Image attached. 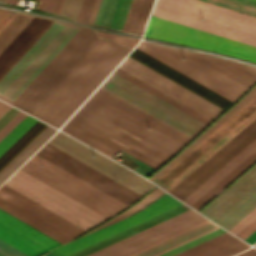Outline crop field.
<instances>
[{"mask_svg": "<svg viewBox=\"0 0 256 256\" xmlns=\"http://www.w3.org/2000/svg\"><path fill=\"white\" fill-rule=\"evenodd\" d=\"M96 32L105 38L111 39L113 41L131 46V47H134L136 43L139 41V39H135L132 37L119 36L111 33H104V32H98V31Z\"/></svg>", "mask_w": 256, "mask_h": 256, "instance_id": "crop-field-39", "label": "crop field"}, {"mask_svg": "<svg viewBox=\"0 0 256 256\" xmlns=\"http://www.w3.org/2000/svg\"><path fill=\"white\" fill-rule=\"evenodd\" d=\"M231 10L256 16V2L250 0H202Z\"/></svg>", "mask_w": 256, "mask_h": 256, "instance_id": "crop-field-33", "label": "crop field"}, {"mask_svg": "<svg viewBox=\"0 0 256 256\" xmlns=\"http://www.w3.org/2000/svg\"><path fill=\"white\" fill-rule=\"evenodd\" d=\"M113 73H115V74H117V75H119V76H121V77H123V78H125V79H127L129 81H131L132 83H134V84L138 85L139 87L147 90L148 92L154 94L155 96H157V97L161 98L162 100L170 103L171 105L177 107L178 109L184 111L185 113L191 115L192 117L200 120L201 122H203V123H205L207 125L212 121V120L204 117L203 115L197 113L196 111L188 108L187 106H185V105H183L181 103H178L173 98H171V97H169V96H167V95H165V94L155 90L154 88L148 86L147 84L141 82L140 80L132 77L131 75L125 73L124 71H122V70H120L118 68Z\"/></svg>", "mask_w": 256, "mask_h": 256, "instance_id": "crop-field-29", "label": "crop field"}, {"mask_svg": "<svg viewBox=\"0 0 256 256\" xmlns=\"http://www.w3.org/2000/svg\"><path fill=\"white\" fill-rule=\"evenodd\" d=\"M254 1H256V0H254Z\"/></svg>", "mask_w": 256, "mask_h": 256, "instance_id": "crop-field-54", "label": "crop field"}, {"mask_svg": "<svg viewBox=\"0 0 256 256\" xmlns=\"http://www.w3.org/2000/svg\"><path fill=\"white\" fill-rule=\"evenodd\" d=\"M11 106L0 101V116H2Z\"/></svg>", "mask_w": 256, "mask_h": 256, "instance_id": "crop-field-47", "label": "crop field"}, {"mask_svg": "<svg viewBox=\"0 0 256 256\" xmlns=\"http://www.w3.org/2000/svg\"><path fill=\"white\" fill-rule=\"evenodd\" d=\"M105 2H106V0H102V3H101V0H95L92 11H91V14H90L89 19H88V22L90 24L94 23L99 5L101 3L98 14H97V17H96V20H95V23H94V24H98L101 13H102L104 5H105ZM117 2H118V0H107L104 11L102 13V16H101V19H100V22H99L100 25H104V26H108V27L110 26V23H111V20H112Z\"/></svg>", "mask_w": 256, "mask_h": 256, "instance_id": "crop-field-31", "label": "crop field"}, {"mask_svg": "<svg viewBox=\"0 0 256 256\" xmlns=\"http://www.w3.org/2000/svg\"><path fill=\"white\" fill-rule=\"evenodd\" d=\"M187 210H189V208L186 207L183 204V205H181V206H179V207H177L175 209H172V210H170V211H168L166 213H163V214H161L159 216H156V217H154V218H152L150 220H147V221H145V222H143L141 224H138V225H136V226H134L132 228H129V229H127V230H125L123 232H120V233H118L116 235H113V236H111V237H109L107 239H104V240H102V241H100L98 243H95V244H93V245H91L89 247H86V248H84L82 250H79V251H77V252H75L73 254H70L68 256H87V255H89L91 253H94V252H96V251H98L100 249H103V248H105V247H107V246H109L111 244H114V243H116V242H118L120 240H123V239H125V238H127V237H129L131 235H134V234H136V233H138L140 231H143V230H145V229H147L149 227H152V226H154V225H156V224H158L160 222H163V221H165V220H167L169 218H172V217H174V216H176V215H178L180 213H183V212H185Z\"/></svg>", "mask_w": 256, "mask_h": 256, "instance_id": "crop-field-26", "label": "crop field"}, {"mask_svg": "<svg viewBox=\"0 0 256 256\" xmlns=\"http://www.w3.org/2000/svg\"><path fill=\"white\" fill-rule=\"evenodd\" d=\"M136 48L233 102L256 81V68L244 64L179 49L248 88L175 48L144 41Z\"/></svg>", "mask_w": 256, "mask_h": 256, "instance_id": "crop-field-3", "label": "crop field"}, {"mask_svg": "<svg viewBox=\"0 0 256 256\" xmlns=\"http://www.w3.org/2000/svg\"><path fill=\"white\" fill-rule=\"evenodd\" d=\"M255 230H256V219L252 223H250L246 228H244L240 233H238L236 236L244 240Z\"/></svg>", "mask_w": 256, "mask_h": 256, "instance_id": "crop-field-44", "label": "crop field"}, {"mask_svg": "<svg viewBox=\"0 0 256 256\" xmlns=\"http://www.w3.org/2000/svg\"><path fill=\"white\" fill-rule=\"evenodd\" d=\"M37 121L38 120L27 115L4 139L0 141V156Z\"/></svg>", "mask_w": 256, "mask_h": 256, "instance_id": "crop-field-32", "label": "crop field"}, {"mask_svg": "<svg viewBox=\"0 0 256 256\" xmlns=\"http://www.w3.org/2000/svg\"><path fill=\"white\" fill-rule=\"evenodd\" d=\"M223 232H225V231L223 229L219 228V229H217V230H215L213 232H210V233H208V234H206V235H204L202 237H199V238H197V239H195L193 241H190V242H188V243H186L184 245H181V246H179V247H177L175 249H172V250H170V251H168V252H166L164 254H161L159 256H172V255H174V254H176L178 252H181V251H183V250H185L187 248H190V247H192V246H194L196 244H199V243H201V242H203V241H205L207 239H210V238H212V237H214L216 235H219V234H221Z\"/></svg>", "mask_w": 256, "mask_h": 256, "instance_id": "crop-field-36", "label": "crop field"}, {"mask_svg": "<svg viewBox=\"0 0 256 256\" xmlns=\"http://www.w3.org/2000/svg\"><path fill=\"white\" fill-rule=\"evenodd\" d=\"M92 96L100 99L182 146L192 139L100 87Z\"/></svg>", "mask_w": 256, "mask_h": 256, "instance_id": "crop-field-23", "label": "crop field"}, {"mask_svg": "<svg viewBox=\"0 0 256 256\" xmlns=\"http://www.w3.org/2000/svg\"><path fill=\"white\" fill-rule=\"evenodd\" d=\"M131 50L101 38L33 114L60 128Z\"/></svg>", "mask_w": 256, "mask_h": 256, "instance_id": "crop-field-2", "label": "crop field"}, {"mask_svg": "<svg viewBox=\"0 0 256 256\" xmlns=\"http://www.w3.org/2000/svg\"><path fill=\"white\" fill-rule=\"evenodd\" d=\"M256 93V87L244 97L233 109H231L225 116H223L217 123H215L209 130H207L201 137H199L193 144H191L185 151H183L177 158H175L170 164L156 173L151 180L157 177L173 162H175L180 156L200 141L205 135L225 120L230 114L244 104ZM256 117V94L230 115L225 121L205 136L200 142L180 157L175 163L167 168L153 181L161 185L166 190L172 188L224 143H226L231 137L245 127Z\"/></svg>", "mask_w": 256, "mask_h": 256, "instance_id": "crop-field-5", "label": "crop field"}, {"mask_svg": "<svg viewBox=\"0 0 256 256\" xmlns=\"http://www.w3.org/2000/svg\"><path fill=\"white\" fill-rule=\"evenodd\" d=\"M250 246L225 232L174 256H230Z\"/></svg>", "mask_w": 256, "mask_h": 256, "instance_id": "crop-field-25", "label": "crop field"}, {"mask_svg": "<svg viewBox=\"0 0 256 256\" xmlns=\"http://www.w3.org/2000/svg\"><path fill=\"white\" fill-rule=\"evenodd\" d=\"M15 12L0 10V31ZM52 23L51 20L17 13L0 32V78Z\"/></svg>", "mask_w": 256, "mask_h": 256, "instance_id": "crop-field-14", "label": "crop field"}, {"mask_svg": "<svg viewBox=\"0 0 256 256\" xmlns=\"http://www.w3.org/2000/svg\"><path fill=\"white\" fill-rule=\"evenodd\" d=\"M0 256H27L0 240Z\"/></svg>", "mask_w": 256, "mask_h": 256, "instance_id": "crop-field-43", "label": "crop field"}, {"mask_svg": "<svg viewBox=\"0 0 256 256\" xmlns=\"http://www.w3.org/2000/svg\"><path fill=\"white\" fill-rule=\"evenodd\" d=\"M18 110L14 108H10L1 118H0V128L8 122L16 113Z\"/></svg>", "mask_w": 256, "mask_h": 256, "instance_id": "crop-field-45", "label": "crop field"}, {"mask_svg": "<svg viewBox=\"0 0 256 256\" xmlns=\"http://www.w3.org/2000/svg\"><path fill=\"white\" fill-rule=\"evenodd\" d=\"M7 2L16 3V2H17V0H8Z\"/></svg>", "mask_w": 256, "mask_h": 256, "instance_id": "crop-field-50", "label": "crop field"}, {"mask_svg": "<svg viewBox=\"0 0 256 256\" xmlns=\"http://www.w3.org/2000/svg\"><path fill=\"white\" fill-rule=\"evenodd\" d=\"M63 0H39L38 9L60 13Z\"/></svg>", "mask_w": 256, "mask_h": 256, "instance_id": "crop-field-38", "label": "crop field"}, {"mask_svg": "<svg viewBox=\"0 0 256 256\" xmlns=\"http://www.w3.org/2000/svg\"><path fill=\"white\" fill-rule=\"evenodd\" d=\"M19 169L107 219L127 207L36 154Z\"/></svg>", "mask_w": 256, "mask_h": 256, "instance_id": "crop-field-9", "label": "crop field"}, {"mask_svg": "<svg viewBox=\"0 0 256 256\" xmlns=\"http://www.w3.org/2000/svg\"><path fill=\"white\" fill-rule=\"evenodd\" d=\"M81 3L82 0H65L60 14L68 15L76 20Z\"/></svg>", "mask_w": 256, "mask_h": 256, "instance_id": "crop-field-37", "label": "crop field"}, {"mask_svg": "<svg viewBox=\"0 0 256 256\" xmlns=\"http://www.w3.org/2000/svg\"><path fill=\"white\" fill-rule=\"evenodd\" d=\"M57 130L47 126L13 160L0 171V184L32 156ZM12 175V174H11Z\"/></svg>", "mask_w": 256, "mask_h": 256, "instance_id": "crop-field-27", "label": "crop field"}, {"mask_svg": "<svg viewBox=\"0 0 256 256\" xmlns=\"http://www.w3.org/2000/svg\"><path fill=\"white\" fill-rule=\"evenodd\" d=\"M151 15L256 46L255 17L199 0H157Z\"/></svg>", "mask_w": 256, "mask_h": 256, "instance_id": "crop-field-4", "label": "crop field"}, {"mask_svg": "<svg viewBox=\"0 0 256 256\" xmlns=\"http://www.w3.org/2000/svg\"><path fill=\"white\" fill-rule=\"evenodd\" d=\"M130 3H131V0H119L110 27L120 29V30L122 29Z\"/></svg>", "mask_w": 256, "mask_h": 256, "instance_id": "crop-field-35", "label": "crop field"}, {"mask_svg": "<svg viewBox=\"0 0 256 256\" xmlns=\"http://www.w3.org/2000/svg\"><path fill=\"white\" fill-rule=\"evenodd\" d=\"M146 36L210 49L256 62V47L200 30L150 17Z\"/></svg>", "mask_w": 256, "mask_h": 256, "instance_id": "crop-field-13", "label": "crop field"}, {"mask_svg": "<svg viewBox=\"0 0 256 256\" xmlns=\"http://www.w3.org/2000/svg\"><path fill=\"white\" fill-rule=\"evenodd\" d=\"M255 138L256 119L241 130L236 136L228 141L223 147H221L169 192L182 200Z\"/></svg>", "mask_w": 256, "mask_h": 256, "instance_id": "crop-field-18", "label": "crop field"}, {"mask_svg": "<svg viewBox=\"0 0 256 256\" xmlns=\"http://www.w3.org/2000/svg\"><path fill=\"white\" fill-rule=\"evenodd\" d=\"M93 2L94 0H83L82 6L76 21L84 22V23L87 22Z\"/></svg>", "mask_w": 256, "mask_h": 256, "instance_id": "crop-field-42", "label": "crop field"}, {"mask_svg": "<svg viewBox=\"0 0 256 256\" xmlns=\"http://www.w3.org/2000/svg\"><path fill=\"white\" fill-rule=\"evenodd\" d=\"M154 0H132L123 29L135 34H142L150 15Z\"/></svg>", "mask_w": 256, "mask_h": 256, "instance_id": "crop-field-28", "label": "crop field"}, {"mask_svg": "<svg viewBox=\"0 0 256 256\" xmlns=\"http://www.w3.org/2000/svg\"><path fill=\"white\" fill-rule=\"evenodd\" d=\"M191 210L89 256H135L134 254L142 250L208 222ZM216 228L218 227L208 222L136 255L155 256Z\"/></svg>", "mask_w": 256, "mask_h": 256, "instance_id": "crop-field-6", "label": "crop field"}, {"mask_svg": "<svg viewBox=\"0 0 256 256\" xmlns=\"http://www.w3.org/2000/svg\"><path fill=\"white\" fill-rule=\"evenodd\" d=\"M61 130L110 157L121 149L155 169L182 147L92 96Z\"/></svg>", "mask_w": 256, "mask_h": 256, "instance_id": "crop-field-1", "label": "crop field"}, {"mask_svg": "<svg viewBox=\"0 0 256 256\" xmlns=\"http://www.w3.org/2000/svg\"><path fill=\"white\" fill-rule=\"evenodd\" d=\"M79 28L54 21L0 79V98L11 103Z\"/></svg>", "mask_w": 256, "mask_h": 256, "instance_id": "crop-field-7", "label": "crop field"}, {"mask_svg": "<svg viewBox=\"0 0 256 256\" xmlns=\"http://www.w3.org/2000/svg\"><path fill=\"white\" fill-rule=\"evenodd\" d=\"M128 56L136 59L137 61L168 77L169 79L175 81L176 83L182 85L183 87L189 89L190 91L196 93L197 95L203 97L204 99L210 101L211 103L224 110L233 103L136 48Z\"/></svg>", "mask_w": 256, "mask_h": 256, "instance_id": "crop-field-24", "label": "crop field"}, {"mask_svg": "<svg viewBox=\"0 0 256 256\" xmlns=\"http://www.w3.org/2000/svg\"><path fill=\"white\" fill-rule=\"evenodd\" d=\"M0 209L62 244L86 232L4 184L0 187Z\"/></svg>", "mask_w": 256, "mask_h": 256, "instance_id": "crop-field-12", "label": "crop field"}, {"mask_svg": "<svg viewBox=\"0 0 256 256\" xmlns=\"http://www.w3.org/2000/svg\"><path fill=\"white\" fill-rule=\"evenodd\" d=\"M245 241L253 244L256 241V231L246 238Z\"/></svg>", "mask_w": 256, "mask_h": 256, "instance_id": "crop-field-48", "label": "crop field"}, {"mask_svg": "<svg viewBox=\"0 0 256 256\" xmlns=\"http://www.w3.org/2000/svg\"><path fill=\"white\" fill-rule=\"evenodd\" d=\"M0 239L29 256L62 245L0 210Z\"/></svg>", "mask_w": 256, "mask_h": 256, "instance_id": "crop-field-21", "label": "crop field"}, {"mask_svg": "<svg viewBox=\"0 0 256 256\" xmlns=\"http://www.w3.org/2000/svg\"><path fill=\"white\" fill-rule=\"evenodd\" d=\"M100 87L192 138L207 126L113 73Z\"/></svg>", "mask_w": 256, "mask_h": 256, "instance_id": "crop-field-11", "label": "crop field"}, {"mask_svg": "<svg viewBox=\"0 0 256 256\" xmlns=\"http://www.w3.org/2000/svg\"><path fill=\"white\" fill-rule=\"evenodd\" d=\"M26 114L18 112L8 123L0 129V140L4 138L24 117Z\"/></svg>", "mask_w": 256, "mask_h": 256, "instance_id": "crop-field-40", "label": "crop field"}, {"mask_svg": "<svg viewBox=\"0 0 256 256\" xmlns=\"http://www.w3.org/2000/svg\"><path fill=\"white\" fill-rule=\"evenodd\" d=\"M44 256H55V255L52 254V253H48V254H46V255H44Z\"/></svg>", "mask_w": 256, "mask_h": 256, "instance_id": "crop-field-49", "label": "crop field"}, {"mask_svg": "<svg viewBox=\"0 0 256 256\" xmlns=\"http://www.w3.org/2000/svg\"><path fill=\"white\" fill-rule=\"evenodd\" d=\"M256 218V208L250 212L246 217H244L240 222H238L234 227H232L229 231L233 234H237L244 227H246L250 222H252Z\"/></svg>", "mask_w": 256, "mask_h": 256, "instance_id": "crop-field-41", "label": "crop field"}, {"mask_svg": "<svg viewBox=\"0 0 256 256\" xmlns=\"http://www.w3.org/2000/svg\"><path fill=\"white\" fill-rule=\"evenodd\" d=\"M118 68L128 72L155 89L165 94L167 93V95L177 99L212 120L224 111L128 56Z\"/></svg>", "mask_w": 256, "mask_h": 256, "instance_id": "crop-field-19", "label": "crop field"}, {"mask_svg": "<svg viewBox=\"0 0 256 256\" xmlns=\"http://www.w3.org/2000/svg\"><path fill=\"white\" fill-rule=\"evenodd\" d=\"M181 205L178 201L173 199V197L165 194L163 197H161L159 200H157L155 203H153L151 206H149L147 209L123 220L116 224H113L109 227H106L100 231H97L93 234H90L86 237H83L79 240H76L70 244H67L63 247L51 250L52 252L60 255V256H66L70 253H73L79 249H82L86 246H89L95 242H98L104 238H107L113 234H116L122 230H125L129 227H132L138 223H141L147 219H150L156 215H159L163 212H166L172 208H175L177 206Z\"/></svg>", "mask_w": 256, "mask_h": 256, "instance_id": "crop-field-22", "label": "crop field"}, {"mask_svg": "<svg viewBox=\"0 0 256 256\" xmlns=\"http://www.w3.org/2000/svg\"><path fill=\"white\" fill-rule=\"evenodd\" d=\"M48 143L70 154L108 177L117 180V182L141 195L155 186L107 157L91 150L60 132H58ZM93 155L95 157H92Z\"/></svg>", "mask_w": 256, "mask_h": 256, "instance_id": "crop-field-16", "label": "crop field"}, {"mask_svg": "<svg viewBox=\"0 0 256 256\" xmlns=\"http://www.w3.org/2000/svg\"><path fill=\"white\" fill-rule=\"evenodd\" d=\"M36 154L127 206L141 196L48 143Z\"/></svg>", "mask_w": 256, "mask_h": 256, "instance_id": "crop-field-17", "label": "crop field"}, {"mask_svg": "<svg viewBox=\"0 0 256 256\" xmlns=\"http://www.w3.org/2000/svg\"><path fill=\"white\" fill-rule=\"evenodd\" d=\"M4 2H6V0H4Z\"/></svg>", "mask_w": 256, "mask_h": 256, "instance_id": "crop-field-52", "label": "crop field"}, {"mask_svg": "<svg viewBox=\"0 0 256 256\" xmlns=\"http://www.w3.org/2000/svg\"><path fill=\"white\" fill-rule=\"evenodd\" d=\"M236 256H256V250L251 248V249H249V250H247L245 252H242V253H240V254H238Z\"/></svg>", "mask_w": 256, "mask_h": 256, "instance_id": "crop-field-46", "label": "crop field"}, {"mask_svg": "<svg viewBox=\"0 0 256 256\" xmlns=\"http://www.w3.org/2000/svg\"><path fill=\"white\" fill-rule=\"evenodd\" d=\"M164 192H162L160 189H155L153 192H151L149 195H147L145 198H143L141 201H139L137 204H135L134 206L128 208L127 210L123 211L122 213H120L119 215H117L116 217L112 218L111 220H109L108 222L100 225L99 227L93 229L92 231L99 229L103 226H106L108 224H111L115 221L121 220L123 218L128 217L129 215H131L132 213L136 212L137 210L143 209L144 207H146L150 202L154 201L156 198H158L161 194H163ZM91 232V231H90ZM89 233V232H88ZM87 234V233H86Z\"/></svg>", "mask_w": 256, "mask_h": 256, "instance_id": "crop-field-34", "label": "crop field"}, {"mask_svg": "<svg viewBox=\"0 0 256 256\" xmlns=\"http://www.w3.org/2000/svg\"><path fill=\"white\" fill-rule=\"evenodd\" d=\"M255 247H256V244H255Z\"/></svg>", "mask_w": 256, "mask_h": 256, "instance_id": "crop-field-53", "label": "crop field"}, {"mask_svg": "<svg viewBox=\"0 0 256 256\" xmlns=\"http://www.w3.org/2000/svg\"><path fill=\"white\" fill-rule=\"evenodd\" d=\"M1 2H3V0H0Z\"/></svg>", "mask_w": 256, "mask_h": 256, "instance_id": "crop-field-51", "label": "crop field"}, {"mask_svg": "<svg viewBox=\"0 0 256 256\" xmlns=\"http://www.w3.org/2000/svg\"><path fill=\"white\" fill-rule=\"evenodd\" d=\"M47 125L38 121L28 130L12 147L0 157V170L13 159L35 136H37Z\"/></svg>", "mask_w": 256, "mask_h": 256, "instance_id": "crop-field-30", "label": "crop field"}, {"mask_svg": "<svg viewBox=\"0 0 256 256\" xmlns=\"http://www.w3.org/2000/svg\"><path fill=\"white\" fill-rule=\"evenodd\" d=\"M99 39L95 32L81 27L12 105L31 114Z\"/></svg>", "mask_w": 256, "mask_h": 256, "instance_id": "crop-field-8", "label": "crop field"}, {"mask_svg": "<svg viewBox=\"0 0 256 256\" xmlns=\"http://www.w3.org/2000/svg\"><path fill=\"white\" fill-rule=\"evenodd\" d=\"M255 188L256 166L202 210L201 213L215 221ZM255 207L256 189L215 222L229 230Z\"/></svg>", "mask_w": 256, "mask_h": 256, "instance_id": "crop-field-15", "label": "crop field"}, {"mask_svg": "<svg viewBox=\"0 0 256 256\" xmlns=\"http://www.w3.org/2000/svg\"><path fill=\"white\" fill-rule=\"evenodd\" d=\"M256 161V139L182 201L199 209Z\"/></svg>", "mask_w": 256, "mask_h": 256, "instance_id": "crop-field-20", "label": "crop field"}, {"mask_svg": "<svg viewBox=\"0 0 256 256\" xmlns=\"http://www.w3.org/2000/svg\"><path fill=\"white\" fill-rule=\"evenodd\" d=\"M4 184L86 231L106 220L19 169Z\"/></svg>", "mask_w": 256, "mask_h": 256, "instance_id": "crop-field-10", "label": "crop field"}]
</instances>
